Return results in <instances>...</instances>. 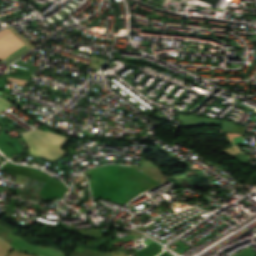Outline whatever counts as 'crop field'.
Segmentation results:
<instances>
[{
    "instance_id": "8a807250",
    "label": "crop field",
    "mask_w": 256,
    "mask_h": 256,
    "mask_svg": "<svg viewBox=\"0 0 256 256\" xmlns=\"http://www.w3.org/2000/svg\"><path fill=\"white\" fill-rule=\"evenodd\" d=\"M22 136L29 147L31 155L33 156L55 161L67 154L60 148L64 145L68 138L49 131L44 132L38 129L24 133Z\"/></svg>"
},
{
    "instance_id": "ac0d7876",
    "label": "crop field",
    "mask_w": 256,
    "mask_h": 256,
    "mask_svg": "<svg viewBox=\"0 0 256 256\" xmlns=\"http://www.w3.org/2000/svg\"><path fill=\"white\" fill-rule=\"evenodd\" d=\"M108 168H109V174H110V180H111L114 201L121 203L116 166H108ZM97 170H98V175H99L100 186H101L103 198L113 201L107 166L102 167V168H97ZM97 170L91 169V170H89V172H90V176H91V180H92L94 195L102 197L101 191H100V186H99Z\"/></svg>"
},
{
    "instance_id": "34b2d1b8",
    "label": "crop field",
    "mask_w": 256,
    "mask_h": 256,
    "mask_svg": "<svg viewBox=\"0 0 256 256\" xmlns=\"http://www.w3.org/2000/svg\"><path fill=\"white\" fill-rule=\"evenodd\" d=\"M23 167H27V166H23ZM23 167H20L18 165H15L9 162L6 166L2 168V170H5L10 173H15V174L35 178L44 182H46L47 179L49 178V176L45 175L44 173L37 172L38 170L33 171V170H36L34 168L27 167V168L33 169V170H30ZM65 191H66V188L61 182L56 181L52 178H49V180L45 183L43 189L41 190V194L44 196L45 199H50V198H54L64 194Z\"/></svg>"
},
{
    "instance_id": "412701ff",
    "label": "crop field",
    "mask_w": 256,
    "mask_h": 256,
    "mask_svg": "<svg viewBox=\"0 0 256 256\" xmlns=\"http://www.w3.org/2000/svg\"><path fill=\"white\" fill-rule=\"evenodd\" d=\"M7 29H9L15 36H17L22 42H24L28 47H30L31 49L34 48L30 43H28L18 32H16L11 26L8 27ZM5 29L3 31L0 32V35L7 32L8 30ZM11 32H7L3 35L0 36V55L4 54V53H8L11 50L15 49L16 47H18L19 45L23 44L19 39H17ZM26 45H22L19 48L13 50L12 52H10L9 54H13L15 55L14 57H12V55H7L4 54L2 56H0V60L2 61H6L9 59V62H13L15 61L17 58H19L20 56H22L23 54H25L26 52H28L30 49L26 46Z\"/></svg>"
},
{
    "instance_id": "f4fd0767",
    "label": "crop field",
    "mask_w": 256,
    "mask_h": 256,
    "mask_svg": "<svg viewBox=\"0 0 256 256\" xmlns=\"http://www.w3.org/2000/svg\"><path fill=\"white\" fill-rule=\"evenodd\" d=\"M10 244H12L14 247L22 249V250H26L32 253H37L40 251V248H34V247H30L26 244H24L23 242H21L19 239H16L12 242H10ZM39 255L42 256H62L60 254H58L56 251L54 250H50V249H41V251L39 252Z\"/></svg>"
},
{
    "instance_id": "dd49c442",
    "label": "crop field",
    "mask_w": 256,
    "mask_h": 256,
    "mask_svg": "<svg viewBox=\"0 0 256 256\" xmlns=\"http://www.w3.org/2000/svg\"><path fill=\"white\" fill-rule=\"evenodd\" d=\"M71 256H111L107 253L76 247Z\"/></svg>"
},
{
    "instance_id": "e52e79f7",
    "label": "crop field",
    "mask_w": 256,
    "mask_h": 256,
    "mask_svg": "<svg viewBox=\"0 0 256 256\" xmlns=\"http://www.w3.org/2000/svg\"><path fill=\"white\" fill-rule=\"evenodd\" d=\"M144 243H146L147 245L152 243V241H150L149 239L143 241ZM148 247V246H147ZM161 247L157 246L156 244H151L149 245L148 248L142 250V251H139L137 252V256H150L151 254H153L154 252L160 250Z\"/></svg>"
},
{
    "instance_id": "d8731c3e",
    "label": "crop field",
    "mask_w": 256,
    "mask_h": 256,
    "mask_svg": "<svg viewBox=\"0 0 256 256\" xmlns=\"http://www.w3.org/2000/svg\"><path fill=\"white\" fill-rule=\"evenodd\" d=\"M14 63L20 65V67H19V69L17 71L19 73H24V74L32 75V73L36 70V67L31 66V65L23 62L20 59L17 60L16 62H14Z\"/></svg>"
},
{
    "instance_id": "5a996713",
    "label": "crop field",
    "mask_w": 256,
    "mask_h": 256,
    "mask_svg": "<svg viewBox=\"0 0 256 256\" xmlns=\"http://www.w3.org/2000/svg\"><path fill=\"white\" fill-rule=\"evenodd\" d=\"M0 237L8 243L17 236L14 234L12 230L0 224Z\"/></svg>"
},
{
    "instance_id": "3316defc",
    "label": "crop field",
    "mask_w": 256,
    "mask_h": 256,
    "mask_svg": "<svg viewBox=\"0 0 256 256\" xmlns=\"http://www.w3.org/2000/svg\"><path fill=\"white\" fill-rule=\"evenodd\" d=\"M78 232L83 237H88V238L97 237V236H100L102 234L98 229L82 230V231H78Z\"/></svg>"
},
{
    "instance_id": "28ad6ade",
    "label": "crop field",
    "mask_w": 256,
    "mask_h": 256,
    "mask_svg": "<svg viewBox=\"0 0 256 256\" xmlns=\"http://www.w3.org/2000/svg\"><path fill=\"white\" fill-rule=\"evenodd\" d=\"M0 150L8 157L14 155V150L7 144L0 142Z\"/></svg>"
},
{
    "instance_id": "d1516ede",
    "label": "crop field",
    "mask_w": 256,
    "mask_h": 256,
    "mask_svg": "<svg viewBox=\"0 0 256 256\" xmlns=\"http://www.w3.org/2000/svg\"><path fill=\"white\" fill-rule=\"evenodd\" d=\"M11 247L0 239V256H5Z\"/></svg>"
},
{
    "instance_id": "22f410ed",
    "label": "crop field",
    "mask_w": 256,
    "mask_h": 256,
    "mask_svg": "<svg viewBox=\"0 0 256 256\" xmlns=\"http://www.w3.org/2000/svg\"><path fill=\"white\" fill-rule=\"evenodd\" d=\"M12 105H14V104H12L11 102H9L3 98H0V112ZM0 130H1V127H0Z\"/></svg>"
},
{
    "instance_id": "cbeb9de0",
    "label": "crop field",
    "mask_w": 256,
    "mask_h": 256,
    "mask_svg": "<svg viewBox=\"0 0 256 256\" xmlns=\"http://www.w3.org/2000/svg\"><path fill=\"white\" fill-rule=\"evenodd\" d=\"M8 80L12 81V82H16V83H18L17 85L22 86V87H24L27 83L26 80H22V79L10 77V76H8Z\"/></svg>"
},
{
    "instance_id": "5142ce71",
    "label": "crop field",
    "mask_w": 256,
    "mask_h": 256,
    "mask_svg": "<svg viewBox=\"0 0 256 256\" xmlns=\"http://www.w3.org/2000/svg\"><path fill=\"white\" fill-rule=\"evenodd\" d=\"M8 75L14 76V77H18V78H22V79H26V80H30L31 79V77H28V76H25V75H22V74H17V73L9 72Z\"/></svg>"
},
{
    "instance_id": "d9b57169",
    "label": "crop field",
    "mask_w": 256,
    "mask_h": 256,
    "mask_svg": "<svg viewBox=\"0 0 256 256\" xmlns=\"http://www.w3.org/2000/svg\"><path fill=\"white\" fill-rule=\"evenodd\" d=\"M9 256H31V255L24 254V253L17 252V251H11Z\"/></svg>"
},
{
    "instance_id": "733c2abd",
    "label": "crop field",
    "mask_w": 256,
    "mask_h": 256,
    "mask_svg": "<svg viewBox=\"0 0 256 256\" xmlns=\"http://www.w3.org/2000/svg\"><path fill=\"white\" fill-rule=\"evenodd\" d=\"M17 65H14L13 67H10L9 71H14Z\"/></svg>"
},
{
    "instance_id": "4a817a6b",
    "label": "crop field",
    "mask_w": 256,
    "mask_h": 256,
    "mask_svg": "<svg viewBox=\"0 0 256 256\" xmlns=\"http://www.w3.org/2000/svg\"><path fill=\"white\" fill-rule=\"evenodd\" d=\"M131 233H133V234H135V235H137V236H139V237H141L142 235H140V234H138V233H136V232H134V231H130Z\"/></svg>"
},
{
    "instance_id": "bc2a9ffb",
    "label": "crop field",
    "mask_w": 256,
    "mask_h": 256,
    "mask_svg": "<svg viewBox=\"0 0 256 256\" xmlns=\"http://www.w3.org/2000/svg\"><path fill=\"white\" fill-rule=\"evenodd\" d=\"M161 256H168V255L164 253V254H162Z\"/></svg>"
},
{
    "instance_id": "214f88e0",
    "label": "crop field",
    "mask_w": 256,
    "mask_h": 256,
    "mask_svg": "<svg viewBox=\"0 0 256 256\" xmlns=\"http://www.w3.org/2000/svg\"><path fill=\"white\" fill-rule=\"evenodd\" d=\"M131 237V236H130ZM129 238V237H128Z\"/></svg>"
},
{
    "instance_id": "92a150f3",
    "label": "crop field",
    "mask_w": 256,
    "mask_h": 256,
    "mask_svg": "<svg viewBox=\"0 0 256 256\" xmlns=\"http://www.w3.org/2000/svg\"><path fill=\"white\" fill-rule=\"evenodd\" d=\"M1 163V162H0Z\"/></svg>"
}]
</instances>
